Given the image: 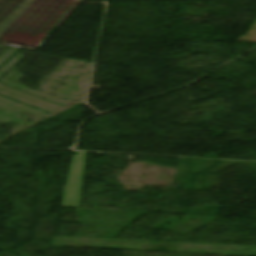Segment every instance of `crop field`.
<instances>
[{"label": "crop field", "instance_id": "obj_1", "mask_svg": "<svg viewBox=\"0 0 256 256\" xmlns=\"http://www.w3.org/2000/svg\"><path fill=\"white\" fill-rule=\"evenodd\" d=\"M82 0H34L0 36L5 41L34 46L46 38Z\"/></svg>", "mask_w": 256, "mask_h": 256}]
</instances>
